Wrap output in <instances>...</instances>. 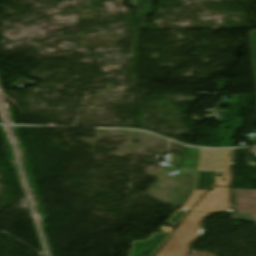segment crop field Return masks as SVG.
I'll list each match as a JSON object with an SVG mask.
<instances>
[{
  "label": "crop field",
  "instance_id": "1",
  "mask_svg": "<svg viewBox=\"0 0 256 256\" xmlns=\"http://www.w3.org/2000/svg\"><path fill=\"white\" fill-rule=\"evenodd\" d=\"M231 166V150L200 149L194 192L183 208L192 210L207 190L215 185L229 187L232 177ZM221 171L222 177H217ZM222 178L226 179V182H223Z\"/></svg>",
  "mask_w": 256,
  "mask_h": 256
},
{
  "label": "crop field",
  "instance_id": "2",
  "mask_svg": "<svg viewBox=\"0 0 256 256\" xmlns=\"http://www.w3.org/2000/svg\"><path fill=\"white\" fill-rule=\"evenodd\" d=\"M205 214L191 212L158 253L159 256H190L189 245L201 234L198 228ZM157 255V256H158Z\"/></svg>",
  "mask_w": 256,
  "mask_h": 256
},
{
  "label": "crop field",
  "instance_id": "3",
  "mask_svg": "<svg viewBox=\"0 0 256 256\" xmlns=\"http://www.w3.org/2000/svg\"><path fill=\"white\" fill-rule=\"evenodd\" d=\"M187 213H188L187 211L177 210L168 219V222L166 223H169L168 225H171V226H178L179 223L183 220V218L187 215ZM164 224L160 228L164 233L152 234V237L150 238L152 239V241L150 239H148L147 241H134L132 244V248L129 256H154L156 252L160 249V247L163 245V243L174 231L173 228L163 227ZM147 242H153V243L152 245H147ZM144 251H148L149 253L147 255H143Z\"/></svg>",
  "mask_w": 256,
  "mask_h": 256
},
{
  "label": "crop field",
  "instance_id": "4",
  "mask_svg": "<svg viewBox=\"0 0 256 256\" xmlns=\"http://www.w3.org/2000/svg\"><path fill=\"white\" fill-rule=\"evenodd\" d=\"M235 218L256 223V190L233 189Z\"/></svg>",
  "mask_w": 256,
  "mask_h": 256
},
{
  "label": "crop field",
  "instance_id": "5",
  "mask_svg": "<svg viewBox=\"0 0 256 256\" xmlns=\"http://www.w3.org/2000/svg\"><path fill=\"white\" fill-rule=\"evenodd\" d=\"M194 210L205 213L231 211L229 188L215 187L214 191L207 192Z\"/></svg>",
  "mask_w": 256,
  "mask_h": 256
},
{
  "label": "crop field",
  "instance_id": "6",
  "mask_svg": "<svg viewBox=\"0 0 256 256\" xmlns=\"http://www.w3.org/2000/svg\"><path fill=\"white\" fill-rule=\"evenodd\" d=\"M137 6L141 25L144 26L147 24V16L151 15L153 12V0H132Z\"/></svg>",
  "mask_w": 256,
  "mask_h": 256
},
{
  "label": "crop field",
  "instance_id": "7",
  "mask_svg": "<svg viewBox=\"0 0 256 256\" xmlns=\"http://www.w3.org/2000/svg\"><path fill=\"white\" fill-rule=\"evenodd\" d=\"M249 34H250V40H251L254 73H255V79H256V31H249Z\"/></svg>",
  "mask_w": 256,
  "mask_h": 256
}]
</instances>
